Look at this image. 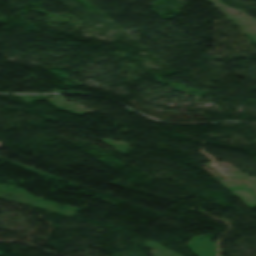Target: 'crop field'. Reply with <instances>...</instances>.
I'll use <instances>...</instances> for the list:
<instances>
[{"instance_id":"1","label":"crop field","mask_w":256,"mask_h":256,"mask_svg":"<svg viewBox=\"0 0 256 256\" xmlns=\"http://www.w3.org/2000/svg\"><path fill=\"white\" fill-rule=\"evenodd\" d=\"M0 148H1V143H0Z\"/></svg>"}]
</instances>
